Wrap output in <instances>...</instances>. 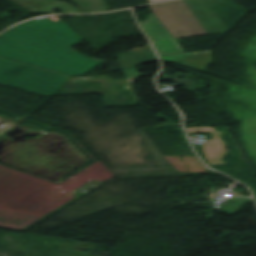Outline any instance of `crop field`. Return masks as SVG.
Instances as JSON below:
<instances>
[{
    "label": "crop field",
    "instance_id": "1",
    "mask_svg": "<svg viewBox=\"0 0 256 256\" xmlns=\"http://www.w3.org/2000/svg\"><path fill=\"white\" fill-rule=\"evenodd\" d=\"M82 40L65 22L47 17L21 23L0 35V56L67 74H85L102 62L69 49Z\"/></svg>",
    "mask_w": 256,
    "mask_h": 256
},
{
    "label": "crop field",
    "instance_id": "2",
    "mask_svg": "<svg viewBox=\"0 0 256 256\" xmlns=\"http://www.w3.org/2000/svg\"><path fill=\"white\" fill-rule=\"evenodd\" d=\"M72 77L0 58V83L51 97Z\"/></svg>",
    "mask_w": 256,
    "mask_h": 256
},
{
    "label": "crop field",
    "instance_id": "3",
    "mask_svg": "<svg viewBox=\"0 0 256 256\" xmlns=\"http://www.w3.org/2000/svg\"><path fill=\"white\" fill-rule=\"evenodd\" d=\"M140 24L163 60L202 71L213 63L210 50L179 54L170 40L174 37L154 13Z\"/></svg>",
    "mask_w": 256,
    "mask_h": 256
},
{
    "label": "crop field",
    "instance_id": "4",
    "mask_svg": "<svg viewBox=\"0 0 256 256\" xmlns=\"http://www.w3.org/2000/svg\"><path fill=\"white\" fill-rule=\"evenodd\" d=\"M175 38L202 35L177 1L152 6Z\"/></svg>",
    "mask_w": 256,
    "mask_h": 256
},
{
    "label": "crop field",
    "instance_id": "5",
    "mask_svg": "<svg viewBox=\"0 0 256 256\" xmlns=\"http://www.w3.org/2000/svg\"><path fill=\"white\" fill-rule=\"evenodd\" d=\"M32 13H54L55 8L64 13L81 12L66 2L58 3L57 0H11Z\"/></svg>",
    "mask_w": 256,
    "mask_h": 256
},
{
    "label": "crop field",
    "instance_id": "6",
    "mask_svg": "<svg viewBox=\"0 0 256 256\" xmlns=\"http://www.w3.org/2000/svg\"><path fill=\"white\" fill-rule=\"evenodd\" d=\"M188 133H198L203 131H213V140H206L204 144V152L208 158L210 165L226 164L222 161L224 157L225 142L220 141L219 136L222 132H214L213 127L206 128H189L186 129Z\"/></svg>",
    "mask_w": 256,
    "mask_h": 256
},
{
    "label": "crop field",
    "instance_id": "7",
    "mask_svg": "<svg viewBox=\"0 0 256 256\" xmlns=\"http://www.w3.org/2000/svg\"><path fill=\"white\" fill-rule=\"evenodd\" d=\"M119 58H121L120 60H118L121 66H125V65L133 66L141 62H146V61H151L156 59L150 46L144 47L142 52L138 53V55L129 54V55L119 56Z\"/></svg>",
    "mask_w": 256,
    "mask_h": 256
},
{
    "label": "crop field",
    "instance_id": "8",
    "mask_svg": "<svg viewBox=\"0 0 256 256\" xmlns=\"http://www.w3.org/2000/svg\"><path fill=\"white\" fill-rule=\"evenodd\" d=\"M150 3H153V2H158V1H163V0H149Z\"/></svg>",
    "mask_w": 256,
    "mask_h": 256
}]
</instances>
